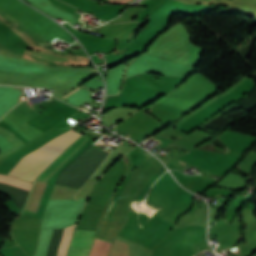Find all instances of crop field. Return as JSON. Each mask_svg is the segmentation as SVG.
Instances as JSON below:
<instances>
[{
    "instance_id": "5",
    "label": "crop field",
    "mask_w": 256,
    "mask_h": 256,
    "mask_svg": "<svg viewBox=\"0 0 256 256\" xmlns=\"http://www.w3.org/2000/svg\"><path fill=\"white\" fill-rule=\"evenodd\" d=\"M73 227L65 228L57 256H65Z\"/></svg>"
},
{
    "instance_id": "4",
    "label": "crop field",
    "mask_w": 256,
    "mask_h": 256,
    "mask_svg": "<svg viewBox=\"0 0 256 256\" xmlns=\"http://www.w3.org/2000/svg\"><path fill=\"white\" fill-rule=\"evenodd\" d=\"M0 183L10 185L13 187H17V188H21V189H27V190H30L31 185H32V184L22 181L20 179H16V178L4 176V175H0Z\"/></svg>"
},
{
    "instance_id": "9",
    "label": "crop field",
    "mask_w": 256,
    "mask_h": 256,
    "mask_svg": "<svg viewBox=\"0 0 256 256\" xmlns=\"http://www.w3.org/2000/svg\"><path fill=\"white\" fill-rule=\"evenodd\" d=\"M165 174L169 177V179H170L172 182H174L175 184H177V183L174 181V179L169 175L168 172H166ZM165 174H164V175H165ZM164 175H163V176H164ZM163 176H162V177H163ZM162 177H161V178H162ZM161 178H160V179H161ZM160 179H159V180H160ZM177 185H178V184H177Z\"/></svg>"
},
{
    "instance_id": "8",
    "label": "crop field",
    "mask_w": 256,
    "mask_h": 256,
    "mask_svg": "<svg viewBox=\"0 0 256 256\" xmlns=\"http://www.w3.org/2000/svg\"><path fill=\"white\" fill-rule=\"evenodd\" d=\"M111 2H115V3H125V2H128L130 0H109Z\"/></svg>"
},
{
    "instance_id": "1",
    "label": "crop field",
    "mask_w": 256,
    "mask_h": 256,
    "mask_svg": "<svg viewBox=\"0 0 256 256\" xmlns=\"http://www.w3.org/2000/svg\"><path fill=\"white\" fill-rule=\"evenodd\" d=\"M80 134L69 130L55 137L41 148L27 154L12 169L9 175L32 182L60 152L69 146Z\"/></svg>"
},
{
    "instance_id": "12",
    "label": "crop field",
    "mask_w": 256,
    "mask_h": 256,
    "mask_svg": "<svg viewBox=\"0 0 256 256\" xmlns=\"http://www.w3.org/2000/svg\"><path fill=\"white\" fill-rule=\"evenodd\" d=\"M105 151V150H104ZM106 152H108L109 153V151H106Z\"/></svg>"
},
{
    "instance_id": "2",
    "label": "crop field",
    "mask_w": 256,
    "mask_h": 256,
    "mask_svg": "<svg viewBox=\"0 0 256 256\" xmlns=\"http://www.w3.org/2000/svg\"><path fill=\"white\" fill-rule=\"evenodd\" d=\"M82 233H83L82 230H74L67 256H77ZM93 236H94V231H84L78 256L88 255L91 245L93 243Z\"/></svg>"
},
{
    "instance_id": "3",
    "label": "crop field",
    "mask_w": 256,
    "mask_h": 256,
    "mask_svg": "<svg viewBox=\"0 0 256 256\" xmlns=\"http://www.w3.org/2000/svg\"><path fill=\"white\" fill-rule=\"evenodd\" d=\"M110 243L95 239L89 256H107Z\"/></svg>"
},
{
    "instance_id": "10",
    "label": "crop field",
    "mask_w": 256,
    "mask_h": 256,
    "mask_svg": "<svg viewBox=\"0 0 256 256\" xmlns=\"http://www.w3.org/2000/svg\"><path fill=\"white\" fill-rule=\"evenodd\" d=\"M143 155H145V156H147V157H148L150 154H148V153L146 152V153H144Z\"/></svg>"
},
{
    "instance_id": "11",
    "label": "crop field",
    "mask_w": 256,
    "mask_h": 256,
    "mask_svg": "<svg viewBox=\"0 0 256 256\" xmlns=\"http://www.w3.org/2000/svg\"><path fill=\"white\" fill-rule=\"evenodd\" d=\"M78 89H80V88H78ZM78 89H77V90H78ZM75 91H76V90H75ZM73 92H74V91H73ZM73 92H72V93H73ZM70 94H71V93H70ZM70 94H69V95H70ZM67 96H68V95H67ZM67 96H66V97H67ZM66 97H65V98H66ZM65 98H64V99H65Z\"/></svg>"
},
{
    "instance_id": "6",
    "label": "crop field",
    "mask_w": 256,
    "mask_h": 256,
    "mask_svg": "<svg viewBox=\"0 0 256 256\" xmlns=\"http://www.w3.org/2000/svg\"><path fill=\"white\" fill-rule=\"evenodd\" d=\"M165 168L164 169H160L156 175L151 179V181L147 184V186L143 189V191L138 195V197L135 199V200H143L144 197L146 196L147 194V191L149 189V187L151 186V184L157 179L159 178L164 172H165Z\"/></svg>"
},
{
    "instance_id": "7",
    "label": "crop field",
    "mask_w": 256,
    "mask_h": 256,
    "mask_svg": "<svg viewBox=\"0 0 256 256\" xmlns=\"http://www.w3.org/2000/svg\"><path fill=\"white\" fill-rule=\"evenodd\" d=\"M0 253L4 256H25L19 246L11 249H1Z\"/></svg>"
}]
</instances>
